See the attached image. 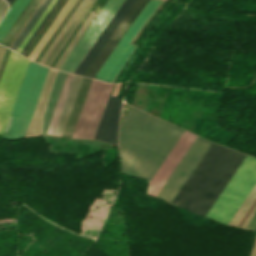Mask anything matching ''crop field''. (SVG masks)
<instances>
[{
    "label": "crop field",
    "instance_id": "obj_1",
    "mask_svg": "<svg viewBox=\"0 0 256 256\" xmlns=\"http://www.w3.org/2000/svg\"><path fill=\"white\" fill-rule=\"evenodd\" d=\"M182 133L183 130L132 108L121 123V172L150 180Z\"/></svg>",
    "mask_w": 256,
    "mask_h": 256
},
{
    "label": "crop field",
    "instance_id": "obj_2",
    "mask_svg": "<svg viewBox=\"0 0 256 256\" xmlns=\"http://www.w3.org/2000/svg\"><path fill=\"white\" fill-rule=\"evenodd\" d=\"M245 157L212 143L172 203L205 216Z\"/></svg>",
    "mask_w": 256,
    "mask_h": 256
},
{
    "label": "crop field",
    "instance_id": "obj_3",
    "mask_svg": "<svg viewBox=\"0 0 256 256\" xmlns=\"http://www.w3.org/2000/svg\"><path fill=\"white\" fill-rule=\"evenodd\" d=\"M47 73L48 69L32 62L29 63L7 123L4 137L14 139L25 135Z\"/></svg>",
    "mask_w": 256,
    "mask_h": 256
},
{
    "label": "crop field",
    "instance_id": "obj_4",
    "mask_svg": "<svg viewBox=\"0 0 256 256\" xmlns=\"http://www.w3.org/2000/svg\"><path fill=\"white\" fill-rule=\"evenodd\" d=\"M256 183V159L247 155L206 217L228 224Z\"/></svg>",
    "mask_w": 256,
    "mask_h": 256
},
{
    "label": "crop field",
    "instance_id": "obj_5",
    "mask_svg": "<svg viewBox=\"0 0 256 256\" xmlns=\"http://www.w3.org/2000/svg\"><path fill=\"white\" fill-rule=\"evenodd\" d=\"M112 85L93 80L73 137L93 139Z\"/></svg>",
    "mask_w": 256,
    "mask_h": 256
},
{
    "label": "crop field",
    "instance_id": "obj_6",
    "mask_svg": "<svg viewBox=\"0 0 256 256\" xmlns=\"http://www.w3.org/2000/svg\"><path fill=\"white\" fill-rule=\"evenodd\" d=\"M29 60L11 52L0 80V135L3 134Z\"/></svg>",
    "mask_w": 256,
    "mask_h": 256
},
{
    "label": "crop field",
    "instance_id": "obj_7",
    "mask_svg": "<svg viewBox=\"0 0 256 256\" xmlns=\"http://www.w3.org/2000/svg\"><path fill=\"white\" fill-rule=\"evenodd\" d=\"M160 2V0H150V2L135 19L134 23L130 26L127 33L115 47L113 52L110 54L102 68L95 76L96 78L111 82L132 50L135 48V46L129 45V43L132 41L144 21L149 17V15L154 11Z\"/></svg>",
    "mask_w": 256,
    "mask_h": 256
},
{
    "label": "crop field",
    "instance_id": "obj_8",
    "mask_svg": "<svg viewBox=\"0 0 256 256\" xmlns=\"http://www.w3.org/2000/svg\"><path fill=\"white\" fill-rule=\"evenodd\" d=\"M123 1L124 0H109L106 3L76 47L60 67V70L73 73Z\"/></svg>",
    "mask_w": 256,
    "mask_h": 256
},
{
    "label": "crop field",
    "instance_id": "obj_9",
    "mask_svg": "<svg viewBox=\"0 0 256 256\" xmlns=\"http://www.w3.org/2000/svg\"><path fill=\"white\" fill-rule=\"evenodd\" d=\"M210 145L211 142L197 136L168 181L157 195V198L171 202Z\"/></svg>",
    "mask_w": 256,
    "mask_h": 256
},
{
    "label": "crop field",
    "instance_id": "obj_10",
    "mask_svg": "<svg viewBox=\"0 0 256 256\" xmlns=\"http://www.w3.org/2000/svg\"><path fill=\"white\" fill-rule=\"evenodd\" d=\"M195 138L196 135L184 131L182 136L179 138L175 146L172 148L168 156L165 158L161 166L150 180L148 190L149 195L156 197Z\"/></svg>",
    "mask_w": 256,
    "mask_h": 256
},
{
    "label": "crop field",
    "instance_id": "obj_11",
    "mask_svg": "<svg viewBox=\"0 0 256 256\" xmlns=\"http://www.w3.org/2000/svg\"><path fill=\"white\" fill-rule=\"evenodd\" d=\"M149 0H136L134 5L131 7L129 12L126 14L124 19L121 21L119 26L116 28L112 36L109 38L107 43L104 45L102 50L99 52L97 57L94 59L92 64L89 66L87 71L84 73V76L94 77L99 68L102 66L104 61L107 59L109 54L112 52L116 44L122 38L124 33L127 31L128 27L132 24L134 19L143 9V7L148 3Z\"/></svg>",
    "mask_w": 256,
    "mask_h": 256
},
{
    "label": "crop field",
    "instance_id": "obj_12",
    "mask_svg": "<svg viewBox=\"0 0 256 256\" xmlns=\"http://www.w3.org/2000/svg\"><path fill=\"white\" fill-rule=\"evenodd\" d=\"M111 94L94 139L115 144L117 143L118 122L122 102L120 98L111 96Z\"/></svg>",
    "mask_w": 256,
    "mask_h": 256
},
{
    "label": "crop field",
    "instance_id": "obj_13",
    "mask_svg": "<svg viewBox=\"0 0 256 256\" xmlns=\"http://www.w3.org/2000/svg\"><path fill=\"white\" fill-rule=\"evenodd\" d=\"M135 0H125L117 13L114 15L106 29L103 31L99 39L96 41V43L93 45L91 50L88 52V54L85 56V58L82 60L80 65L77 67V69L74 71L75 74L83 75V73L86 71L88 66L91 64L93 59L96 57L98 52L101 50L103 45L106 43L110 35L113 33L115 28L118 26L120 21L123 19L125 14L128 12L130 7L133 5Z\"/></svg>",
    "mask_w": 256,
    "mask_h": 256
},
{
    "label": "crop field",
    "instance_id": "obj_14",
    "mask_svg": "<svg viewBox=\"0 0 256 256\" xmlns=\"http://www.w3.org/2000/svg\"><path fill=\"white\" fill-rule=\"evenodd\" d=\"M68 75H69V74H67V77H68ZM71 76H72V75L70 74V75H69V77H68V80H67V77H66L67 83H66V80H65V82H64V85H65V83H66L65 88H64V85H63L64 91H63V88H62L63 93H62V91H61V93H62V96H61V94H60L61 99H60V96H59L60 101H59V99H58V101H59V104H58V102H57L58 107H57V105H56L57 109L55 108V109H56V112L54 111V112H55V115H54V113H53L54 117L52 116V117H53V120L51 119V120H52V123L50 122V123H51L50 128L48 127V128H49V131L47 130V131H48V133H47V134H49V135L51 134L52 128H53V126H54V123H55V120H56L57 114H58V112H59V109H60V106H61L62 100H63V98H64V95H65V92H66V89H67V86H68V84H69V81H70ZM74 76H75V75H73V77H74ZM73 77H72V79H71V81H70V84H69V87H68L67 93H66V95H65V98H64L63 104H62V106H61V109H60L59 115H58V117H57V120H56V123H55L54 129H53V131H52V134H51V135H53V134H54V131H55V129H56V126H57V123H58L59 117H60V115H61V112H62L63 106H64V104H65V101H66L67 95H68V93H69V90H70V87H71L72 81H73V79H74ZM76 77H77V76H75L74 82H75V80H76ZM79 78H80V77L78 76V77H77V80H76V82H75V85H74V82H73V84H72L71 90H72V88H73V85H74V88H73L72 93H71V90H70L71 96H70V93H69V95H68L67 101H68V99H69V96H70V99H69V101H68V104H67V101H66L67 107H66V104H65V106H64L63 112H64V110H65V107H66V110H65V112H64V115H63V112H62L63 118H62V115H61L62 121H61V123H60V120H61V118H60V120H59L60 126H59V123H58L59 129H58V126H57L58 131H57V129H56L57 134H56V131H55V134H56L57 136L59 135V132H60V130H61V127H62L63 121H64L65 116H66V113H67V111H68V108H69L70 102H71V100H72V97H73L74 91H75V89H76L77 83H78V81H79ZM82 78H83V77H81V78H80V81H79V83H78V86H77L76 92H75V94H74L73 100H72V102H71V105H70L69 111H68V113H67V116H66L65 122H64V124H63L62 130H61V132H60V135H59V136H61V135H62V132H63V130H64V127H65L66 121H67L68 116H69V113H70V111H71V108H72L73 102H74V100H75V97H76L77 91H78V89H79L80 83H81V81H82ZM55 134H54V135H55Z\"/></svg>",
    "mask_w": 256,
    "mask_h": 256
},
{
    "label": "crop field",
    "instance_id": "obj_15",
    "mask_svg": "<svg viewBox=\"0 0 256 256\" xmlns=\"http://www.w3.org/2000/svg\"><path fill=\"white\" fill-rule=\"evenodd\" d=\"M91 81H92L91 79H88V78H85V77L83 78V81L81 83L79 92L77 94L76 100L74 102L72 111L70 113L68 122L66 124L65 130H64L62 136L71 138L72 133H73L74 128H75V125H76V122L78 120L80 111L82 109L85 97L87 95L89 86L91 84Z\"/></svg>",
    "mask_w": 256,
    "mask_h": 256
},
{
    "label": "crop field",
    "instance_id": "obj_16",
    "mask_svg": "<svg viewBox=\"0 0 256 256\" xmlns=\"http://www.w3.org/2000/svg\"><path fill=\"white\" fill-rule=\"evenodd\" d=\"M65 72H58V75L56 77L55 83L53 85L52 91L50 93L49 99L47 101L44 117H43V129H42V135L46 133L47 127L49 125L52 113L54 111L58 96L60 94L63 82L66 77Z\"/></svg>",
    "mask_w": 256,
    "mask_h": 256
},
{
    "label": "crop field",
    "instance_id": "obj_17",
    "mask_svg": "<svg viewBox=\"0 0 256 256\" xmlns=\"http://www.w3.org/2000/svg\"><path fill=\"white\" fill-rule=\"evenodd\" d=\"M30 0H17L0 23V41L9 31Z\"/></svg>",
    "mask_w": 256,
    "mask_h": 256
},
{
    "label": "crop field",
    "instance_id": "obj_18",
    "mask_svg": "<svg viewBox=\"0 0 256 256\" xmlns=\"http://www.w3.org/2000/svg\"><path fill=\"white\" fill-rule=\"evenodd\" d=\"M51 0H43L42 3L40 4V6L38 7V9L35 11V13L33 14V16L30 18V20L28 21V23L26 24V26L23 28V30L21 31V33L18 35V37L16 38V40L14 41V43L11 45L10 48H12L13 50L16 51V49L19 47V45L21 44V42L23 41V39L26 37V35L28 34V32L31 30V28L33 27V25L36 23V21L38 20V18L40 17V15L43 13V11L45 10V8L48 6V4L50 3Z\"/></svg>",
    "mask_w": 256,
    "mask_h": 256
},
{
    "label": "crop field",
    "instance_id": "obj_19",
    "mask_svg": "<svg viewBox=\"0 0 256 256\" xmlns=\"http://www.w3.org/2000/svg\"><path fill=\"white\" fill-rule=\"evenodd\" d=\"M255 199H256V185L254 186L250 194L247 196L243 204L240 206V208L238 209L234 217L231 219V221L229 222V225H233L237 227V225L239 224L241 219L244 217V215L246 214V212L248 211V209L250 208V206L252 205Z\"/></svg>",
    "mask_w": 256,
    "mask_h": 256
},
{
    "label": "crop field",
    "instance_id": "obj_20",
    "mask_svg": "<svg viewBox=\"0 0 256 256\" xmlns=\"http://www.w3.org/2000/svg\"><path fill=\"white\" fill-rule=\"evenodd\" d=\"M108 0H97L95 2V4L91 7V9L88 11V13L84 16V18L81 20V22L78 24L75 32L73 33V35L70 37V39L67 41V43L64 45V47L62 48L60 54L58 55V57L55 59V61L52 63L51 68H53V66L55 65V63L57 62V60L60 58V56L62 55V53L64 52V50L66 49V47L69 45V43L71 42L72 38L74 37V35L76 34L77 30L79 29V27L82 25V23L85 21V19L88 17V15L91 13L92 9L95 10L96 12V16L97 14L100 12V10L102 9V7L105 5V3Z\"/></svg>",
    "mask_w": 256,
    "mask_h": 256
},
{
    "label": "crop field",
    "instance_id": "obj_21",
    "mask_svg": "<svg viewBox=\"0 0 256 256\" xmlns=\"http://www.w3.org/2000/svg\"><path fill=\"white\" fill-rule=\"evenodd\" d=\"M51 71H52V70H51ZM49 72H50V71H49ZM57 72H58V71H56V73H55L53 82H54V80H55V77H56ZM50 73H51V72H50ZM53 73H54V70L52 71V73H51V75H50V78H49V80H48V82H47V85H46L45 92H44V95H43V98H42V102H41V106H40L39 112L37 111V112H38V116H37V114H36V116H37V127H36V117H35L29 135L26 133L28 136L35 135V127H36V135H37V130H38V118H39V116H40V112H41L43 100H44V97H45V94H46V91H47V87H48L49 81H50V79H51ZM48 74H49V73H48ZM47 77H48V76H47ZM46 80H47V79H46ZM45 82H46V81H45ZM51 82H52V81H51ZM53 82H52V85H53ZM44 85H45V84H44ZM50 85H51V84H50ZM52 85H51V87H52ZM43 88H44V87H43ZM49 88H50V87H49ZM50 90H51V88H50ZM42 91H43V89H42ZM49 92H50V91H49ZM41 94H42V92H41ZM48 95H49V94H48ZM40 97H41V95H40ZM40 97H39V100H40ZM45 98H46V97H45ZM47 98H48V96H47ZM39 100H38V102H39ZM46 100H47V99H46ZM44 101H45V100H44ZM45 104H46V102H45ZM37 105H38V103H37ZM36 108H37V106H36ZM44 108H45V106H44ZM35 111H36V109H35ZM35 111H34V114H35ZM43 113H44V109H43ZM43 113H42V116H41L40 135H41V127H42V117H43ZM34 114H33V117H34ZM33 117H32V119H33ZM31 122H32V120H31ZM31 122H30V124H31ZM29 127H30V125H29ZM28 129H29V128H28ZM27 132H28V131H27ZM25 137H26V136H25Z\"/></svg>",
    "mask_w": 256,
    "mask_h": 256
},
{
    "label": "crop field",
    "instance_id": "obj_22",
    "mask_svg": "<svg viewBox=\"0 0 256 256\" xmlns=\"http://www.w3.org/2000/svg\"><path fill=\"white\" fill-rule=\"evenodd\" d=\"M96 0H92L88 6L85 8V10L81 13V15L78 17L75 25L73 26V28L71 29V31L68 33V35L66 36V38L64 39V41L62 42V44L60 45V47L57 49V51L55 52V54L53 55V57L50 59V61L47 63V66L50 67L51 63L53 62V60L56 58V56L59 54L61 48L63 47V45L66 43V41L68 40V38L71 36V34L74 32L77 24L80 22V20L83 18V16L86 14V12L90 9V7L94 4Z\"/></svg>",
    "mask_w": 256,
    "mask_h": 256
},
{
    "label": "crop field",
    "instance_id": "obj_23",
    "mask_svg": "<svg viewBox=\"0 0 256 256\" xmlns=\"http://www.w3.org/2000/svg\"><path fill=\"white\" fill-rule=\"evenodd\" d=\"M89 0H85L83 2V4L80 6V8L75 12V14L73 15L72 19L70 20V22L68 23V25L66 26L64 32L66 33L67 30L69 29V27L71 26V24L73 23V21L76 19V17L78 16V14L80 13V11L83 9V7L86 5V3ZM64 33H62V35L59 37V39L56 41V43L54 44V46L52 47V49L50 50V52L48 53V55L45 57V59L42 61V64L45 65V63L47 62V60L49 59V57L51 56V54L54 52V50L56 49V47L58 46V44L60 43V41L62 40V38L64 37Z\"/></svg>",
    "mask_w": 256,
    "mask_h": 256
},
{
    "label": "crop field",
    "instance_id": "obj_24",
    "mask_svg": "<svg viewBox=\"0 0 256 256\" xmlns=\"http://www.w3.org/2000/svg\"><path fill=\"white\" fill-rule=\"evenodd\" d=\"M56 2V0H52V2L49 4V6L47 7V9L44 11V13L42 14V16L40 17V19L37 21V23L35 24V26L32 28V30L30 31V33L28 34V36L25 38V40L23 41V43L21 44V46L18 48L17 52L20 53V51L23 49V47L25 46V44L27 43V41L30 39V37L32 36V34L34 33V31L37 29V27L39 26V24L41 23V21L44 19V17L46 16V14L49 12V10L51 9V7L53 6V4Z\"/></svg>",
    "mask_w": 256,
    "mask_h": 256
},
{
    "label": "crop field",
    "instance_id": "obj_25",
    "mask_svg": "<svg viewBox=\"0 0 256 256\" xmlns=\"http://www.w3.org/2000/svg\"><path fill=\"white\" fill-rule=\"evenodd\" d=\"M93 14H94V12H93ZM93 14H92V15H93ZM94 16H95V14L92 16V18L90 17V18H91L90 21L88 20L89 23L91 22V20L93 19ZM88 19H89V18H88ZM86 22H87V21H86ZM84 23H85V22H84ZM87 23H88V22H87ZM89 23L87 24V26L89 25ZM85 24H86V23H85ZM85 24H84V25H85ZM82 26H83V25H82ZM82 26H81V27H82ZM85 26H86V25H85ZM87 26L85 27V29L87 28ZM83 27H84V26H83ZM83 27H82V28H83ZM80 29H81V28H80ZM80 29H79V30H80ZM83 29H84V28H83ZM85 29L83 30V32L85 31ZM79 30H78V31H79ZM81 30H82V29H81ZM81 30H80V31H81ZM80 31H79V32H80ZM81 32H82V31H81ZM81 32H80V33H81ZM83 32L81 33V35L83 34ZM77 33H78V32H77ZM78 34H79V33H78ZM78 34H77V35H78ZM79 35H80V34H79ZM79 35H78V36H79ZM81 35L79 36V38L81 37ZM75 36H76V35H75ZM76 37H77V36H76ZM76 37H75V38H76ZM77 38H78V37H77ZM77 38H76V39H77ZM79 38L77 39V41L79 40ZM73 39H74V38H73ZM74 40H75V39H74ZM74 40H73V41H74ZM73 41H72V42H73ZM75 41H76V40H75ZM75 41H74V42H75ZM77 41H76L75 43L73 42L74 45L71 43L73 46L70 44V45L72 46V48L75 46V44L77 43ZM70 45H69V47H70ZM69 47H68V48H69ZM68 48L66 49V51L68 50ZM70 48H71V47H70ZM70 48H69V49H70ZM72 48L70 49V51L72 50ZM66 51H65V52H66ZM68 51H69V50H68ZM68 51H67V52H68ZM70 51L68 52V54L70 53ZM65 52H64V54H65ZM67 52H66V54H67ZM64 54H63V55H64ZM66 54H65V55H66ZM68 54L66 55V57L68 56ZM63 55H62V57H63ZM65 55H64V57H65ZM62 57H61V58H62ZM64 57H63V58H64ZM66 57L64 58V60L66 59ZM61 58H60V60H61ZM63 58H62V60H63ZM60 60H59V61H60ZM62 60H61V61H62ZM64 60L62 61V63L64 62ZM58 63H59V62H58ZM58 63H57V65H58ZM60 63H61V62H60ZM60 63H59V64H60ZM62 63H61V64H62ZM61 64H60V66H61ZM57 65H56V66H57ZM56 66H55V68H56ZM58 66H59V65H58ZM58 66H57V67H58ZM60 66H59V67H60ZM59 67H58V69H59ZM56 69H57V68H56Z\"/></svg>",
    "mask_w": 256,
    "mask_h": 256
},
{
    "label": "crop field",
    "instance_id": "obj_26",
    "mask_svg": "<svg viewBox=\"0 0 256 256\" xmlns=\"http://www.w3.org/2000/svg\"><path fill=\"white\" fill-rule=\"evenodd\" d=\"M61 0H57V2L55 3V5L52 7V9L50 10V12L48 13V15L45 17V19L43 20V22L41 23V25L38 27V29L36 30V32L34 33V35L31 37V39L29 40V42L27 43V45L24 47V49L22 50L21 54H23V52L26 50V48L28 47V45L31 43V41L34 39V37L36 36V34L39 32V30L41 29V27L44 25V23L46 22V20L49 18V16L51 15V13L54 11V9L56 8V6L59 4Z\"/></svg>",
    "mask_w": 256,
    "mask_h": 256
},
{
    "label": "crop field",
    "instance_id": "obj_27",
    "mask_svg": "<svg viewBox=\"0 0 256 256\" xmlns=\"http://www.w3.org/2000/svg\"><path fill=\"white\" fill-rule=\"evenodd\" d=\"M37 1H38V0H36V1L34 2L33 6L36 4ZM32 2H33V1H32ZM31 4H32V3H31ZM31 4H30V5H31ZM30 5H29V7H30ZM33 6L31 7V9L33 8ZM29 7H28V8H29ZM28 8H27V9H28ZM31 9H30V11H31ZM26 11H27V10H26ZM26 11H25V12H26ZM30 11H29V12H30ZM29 12H28V14H29ZM24 14H25V13H24ZM24 14H23V15H24ZM28 14H27V15H28ZM27 15L25 16V18L27 17ZM22 17H23V16H22ZM22 17H21V18H22ZM21 18H20V20H21ZM25 18L22 20V22L25 20ZM18 20H19V19H18ZM18 20H17V21H18ZM20 20H19V21H20ZM19 21H18V22H19ZM22 22L18 25V27L22 24ZM15 24H16V23H15ZM15 24H14V25H15ZM16 25H17V24H16ZM16 25H15V26H16ZM18 27H17V28L13 31V33L8 37V39L5 41L4 45H5L6 42L10 39V37L14 34V32L18 29ZM12 28H13V27H12ZM12 28H11V29H12ZM11 29H10V30H11ZM12 30H13V29H12ZM12 30H11V31H12ZM11 31H10V32H11ZM10 32H9V33H10ZM9 33H8V34H9ZM8 34H7V36H8ZM7 36H6V37H7ZM6 37H5V38H6ZM5 38H4V39H5ZM1 43H2V42H1Z\"/></svg>",
    "mask_w": 256,
    "mask_h": 256
},
{
    "label": "crop field",
    "instance_id": "obj_28",
    "mask_svg": "<svg viewBox=\"0 0 256 256\" xmlns=\"http://www.w3.org/2000/svg\"><path fill=\"white\" fill-rule=\"evenodd\" d=\"M246 229L256 231V213L254 214V216L252 217V219L250 220V222L246 226Z\"/></svg>",
    "mask_w": 256,
    "mask_h": 256
},
{
    "label": "crop field",
    "instance_id": "obj_29",
    "mask_svg": "<svg viewBox=\"0 0 256 256\" xmlns=\"http://www.w3.org/2000/svg\"><path fill=\"white\" fill-rule=\"evenodd\" d=\"M256 212V205L255 207L252 209V211L250 212V214L248 215V217L246 218V220L243 222V224L241 225L242 228H245V226L247 225V223L249 222V220L251 219V217L253 216V214Z\"/></svg>",
    "mask_w": 256,
    "mask_h": 256
},
{
    "label": "crop field",
    "instance_id": "obj_30",
    "mask_svg": "<svg viewBox=\"0 0 256 256\" xmlns=\"http://www.w3.org/2000/svg\"><path fill=\"white\" fill-rule=\"evenodd\" d=\"M122 84H123V83H118V84L115 85V88H114V91H113V94H112V95H115V96L118 95Z\"/></svg>",
    "mask_w": 256,
    "mask_h": 256
},
{
    "label": "crop field",
    "instance_id": "obj_31",
    "mask_svg": "<svg viewBox=\"0 0 256 256\" xmlns=\"http://www.w3.org/2000/svg\"><path fill=\"white\" fill-rule=\"evenodd\" d=\"M2 1H3V0L0 1V4L2 3ZM3 4H4V1H3V3L1 4V6H2ZM5 4H6V2H5ZM5 4L2 6V8L5 6ZM1 6H0V8H1ZM6 7H7V5L3 8V10H2V8L0 9V11L2 10V11L0 12V16H1L2 13L4 12V10L6 9Z\"/></svg>",
    "mask_w": 256,
    "mask_h": 256
},
{
    "label": "crop field",
    "instance_id": "obj_32",
    "mask_svg": "<svg viewBox=\"0 0 256 256\" xmlns=\"http://www.w3.org/2000/svg\"><path fill=\"white\" fill-rule=\"evenodd\" d=\"M83 1H84V0H83ZM81 4H82V3H81ZM81 4H80V5H81ZM69 20H70V19H69ZM68 22H69V21H68ZM68 22H67V23H68ZM67 23H66V25H67ZM66 25H65V26H66ZM65 26H64V28H65ZM64 28L62 29V31L64 30ZM62 31L60 32V34L62 33ZM60 34L58 35V37L60 36ZM58 37H57V38H58ZM57 38H56V40H57ZM56 40H55V41H56ZM55 41L53 42V44L55 43ZM53 44H52V45H53ZM52 45H51V47H52ZM51 47H50V48H51ZM50 48H49V50H50ZM49 50H48V51H49ZM48 51H47V53H48ZM47 53H46V54H47ZM46 54H45V56H46ZM45 56H44V57H45ZM44 57H43V59H44ZM43 59H42V60H43ZM42 60H41V61H42ZM40 63H41V62H40Z\"/></svg>",
    "mask_w": 256,
    "mask_h": 256
},
{
    "label": "crop field",
    "instance_id": "obj_33",
    "mask_svg": "<svg viewBox=\"0 0 256 256\" xmlns=\"http://www.w3.org/2000/svg\"><path fill=\"white\" fill-rule=\"evenodd\" d=\"M78 1V0H77ZM75 5V4H74ZM73 8V7H72ZM71 8V9H72ZM71 11V10H70ZM70 11L67 13V15L64 17V19L61 21V23H60V25L58 26V29H59V27L61 26V24L63 23V21L66 19V17L68 16V14L70 13Z\"/></svg>",
    "mask_w": 256,
    "mask_h": 256
},
{
    "label": "crop field",
    "instance_id": "obj_34",
    "mask_svg": "<svg viewBox=\"0 0 256 256\" xmlns=\"http://www.w3.org/2000/svg\"><path fill=\"white\" fill-rule=\"evenodd\" d=\"M85 7H86V6H85ZM82 11H83V10H82ZM82 11H81V12H82ZM79 15H80V14H79ZM72 26H73V25H72ZM71 28H72V27H71ZM71 28H70V29H71ZM69 31H70V30H69ZM69 31H68V32H69ZM66 35H67V34H66ZM64 38H65V37H64ZM64 38H63V39H64ZM62 41H63V40H62ZM62 41H61V42H62ZM60 44H61V43H60ZM60 44H59V45H60ZM57 48H58V47H57ZM55 51H56V50H55ZM53 54H54V53H53ZM51 55H52V54H51ZM51 57H52V56H51ZM49 58H50V57H49ZM48 61H49V60H48Z\"/></svg>",
    "mask_w": 256,
    "mask_h": 256
},
{
    "label": "crop field",
    "instance_id": "obj_35",
    "mask_svg": "<svg viewBox=\"0 0 256 256\" xmlns=\"http://www.w3.org/2000/svg\"><path fill=\"white\" fill-rule=\"evenodd\" d=\"M6 1H7V2L9 3V5H10V4L12 3V1H13V0H6Z\"/></svg>",
    "mask_w": 256,
    "mask_h": 256
},
{
    "label": "crop field",
    "instance_id": "obj_36",
    "mask_svg": "<svg viewBox=\"0 0 256 256\" xmlns=\"http://www.w3.org/2000/svg\"><path fill=\"white\" fill-rule=\"evenodd\" d=\"M1 48H2V47H0V50H1ZM4 49H5V48H3V51H4ZM1 52H2V51H1ZM2 54H3V52H2ZM0 55H1V53H0ZM1 56H2V55H1ZM0 59H1V58H0Z\"/></svg>",
    "mask_w": 256,
    "mask_h": 256
}]
</instances>
